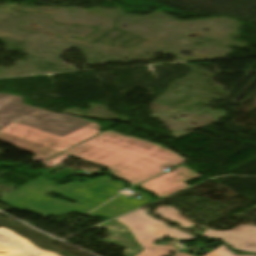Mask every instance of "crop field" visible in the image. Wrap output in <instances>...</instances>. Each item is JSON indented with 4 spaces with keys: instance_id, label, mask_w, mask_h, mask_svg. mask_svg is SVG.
<instances>
[{
    "instance_id": "1",
    "label": "crop field",
    "mask_w": 256,
    "mask_h": 256,
    "mask_svg": "<svg viewBox=\"0 0 256 256\" xmlns=\"http://www.w3.org/2000/svg\"><path fill=\"white\" fill-rule=\"evenodd\" d=\"M70 155L108 167L134 185L185 161L159 145L108 131L44 163L53 166Z\"/></svg>"
},
{
    "instance_id": "2",
    "label": "crop field",
    "mask_w": 256,
    "mask_h": 256,
    "mask_svg": "<svg viewBox=\"0 0 256 256\" xmlns=\"http://www.w3.org/2000/svg\"><path fill=\"white\" fill-rule=\"evenodd\" d=\"M120 187H124V185L120 182L113 183L108 177H99L88 183H72L60 187L51 184L44 178H39L3 197L0 202L19 211L25 210L43 216L72 211L84 214L109 200L110 197L117 194L115 191ZM48 192H54L67 198L70 196L69 199L78 204L71 205L44 196Z\"/></svg>"
},
{
    "instance_id": "3",
    "label": "crop field",
    "mask_w": 256,
    "mask_h": 256,
    "mask_svg": "<svg viewBox=\"0 0 256 256\" xmlns=\"http://www.w3.org/2000/svg\"><path fill=\"white\" fill-rule=\"evenodd\" d=\"M95 122L64 137L13 122L0 130V141L20 150L36 155L32 159L40 162L98 134Z\"/></svg>"
},
{
    "instance_id": "4",
    "label": "crop field",
    "mask_w": 256,
    "mask_h": 256,
    "mask_svg": "<svg viewBox=\"0 0 256 256\" xmlns=\"http://www.w3.org/2000/svg\"><path fill=\"white\" fill-rule=\"evenodd\" d=\"M21 103V100L11 98L0 106V129L16 121L63 136L91 122Z\"/></svg>"
},
{
    "instance_id": "5",
    "label": "crop field",
    "mask_w": 256,
    "mask_h": 256,
    "mask_svg": "<svg viewBox=\"0 0 256 256\" xmlns=\"http://www.w3.org/2000/svg\"><path fill=\"white\" fill-rule=\"evenodd\" d=\"M127 226L144 251L137 256H169L176 252V248L170 246H156L151 243L163 238L172 237L191 241L196 237L171 229L166 223L148 215L140 209L124 217L116 219Z\"/></svg>"
},
{
    "instance_id": "6",
    "label": "crop field",
    "mask_w": 256,
    "mask_h": 256,
    "mask_svg": "<svg viewBox=\"0 0 256 256\" xmlns=\"http://www.w3.org/2000/svg\"><path fill=\"white\" fill-rule=\"evenodd\" d=\"M199 177L201 176L182 165L177 169L148 181L140 186L149 192L162 197L188 186L184 183L185 181Z\"/></svg>"
},
{
    "instance_id": "7",
    "label": "crop field",
    "mask_w": 256,
    "mask_h": 256,
    "mask_svg": "<svg viewBox=\"0 0 256 256\" xmlns=\"http://www.w3.org/2000/svg\"><path fill=\"white\" fill-rule=\"evenodd\" d=\"M202 236L221 239L237 251L256 253L255 226L243 225L229 232L208 230Z\"/></svg>"
},
{
    "instance_id": "8",
    "label": "crop field",
    "mask_w": 256,
    "mask_h": 256,
    "mask_svg": "<svg viewBox=\"0 0 256 256\" xmlns=\"http://www.w3.org/2000/svg\"><path fill=\"white\" fill-rule=\"evenodd\" d=\"M145 200L139 201L137 199L129 200L123 196L107 203L106 205L98 208L90 213V216H103L104 218H113L133 208L152 202V199L145 194L140 195Z\"/></svg>"
},
{
    "instance_id": "9",
    "label": "crop field",
    "mask_w": 256,
    "mask_h": 256,
    "mask_svg": "<svg viewBox=\"0 0 256 256\" xmlns=\"http://www.w3.org/2000/svg\"><path fill=\"white\" fill-rule=\"evenodd\" d=\"M179 212L171 207L157 208V214L167 219L176 221L181 227H190L193 223L181 218Z\"/></svg>"
},
{
    "instance_id": "10",
    "label": "crop field",
    "mask_w": 256,
    "mask_h": 256,
    "mask_svg": "<svg viewBox=\"0 0 256 256\" xmlns=\"http://www.w3.org/2000/svg\"><path fill=\"white\" fill-rule=\"evenodd\" d=\"M173 256H188V255L183 253H176ZM205 256H256V255H236L230 249L222 245L221 247L217 248L216 250L210 252Z\"/></svg>"
},
{
    "instance_id": "11",
    "label": "crop field",
    "mask_w": 256,
    "mask_h": 256,
    "mask_svg": "<svg viewBox=\"0 0 256 256\" xmlns=\"http://www.w3.org/2000/svg\"><path fill=\"white\" fill-rule=\"evenodd\" d=\"M11 97L21 99V98L16 97V96H10V95H6V94H1L0 93V105L3 104L4 102H6L7 100H9Z\"/></svg>"
}]
</instances>
